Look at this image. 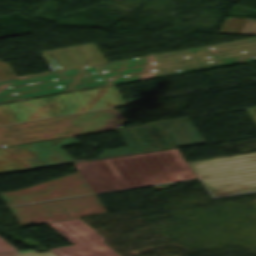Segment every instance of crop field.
I'll list each match as a JSON object with an SVG mask.
<instances>
[{
	"label": "crop field",
	"instance_id": "8a807250",
	"mask_svg": "<svg viewBox=\"0 0 256 256\" xmlns=\"http://www.w3.org/2000/svg\"><path fill=\"white\" fill-rule=\"evenodd\" d=\"M218 33L256 35V19L226 18ZM161 56H166L162 59ZM256 60V38L0 81V102ZM183 61V64L178 62Z\"/></svg>",
	"mask_w": 256,
	"mask_h": 256
},
{
	"label": "crop field",
	"instance_id": "ac0d7876",
	"mask_svg": "<svg viewBox=\"0 0 256 256\" xmlns=\"http://www.w3.org/2000/svg\"><path fill=\"white\" fill-rule=\"evenodd\" d=\"M75 166L94 193L196 177L177 149Z\"/></svg>",
	"mask_w": 256,
	"mask_h": 256
},
{
	"label": "crop field",
	"instance_id": "34b2d1b8",
	"mask_svg": "<svg viewBox=\"0 0 256 256\" xmlns=\"http://www.w3.org/2000/svg\"><path fill=\"white\" fill-rule=\"evenodd\" d=\"M124 104L115 85L0 105V125Z\"/></svg>",
	"mask_w": 256,
	"mask_h": 256
},
{
	"label": "crop field",
	"instance_id": "412701ff",
	"mask_svg": "<svg viewBox=\"0 0 256 256\" xmlns=\"http://www.w3.org/2000/svg\"><path fill=\"white\" fill-rule=\"evenodd\" d=\"M81 133L114 128L116 125L122 124L125 120L118 114V112L112 109L92 111L80 114H74L65 116ZM59 118L74 134L80 133L73 125H71L64 117ZM52 120L67 134L72 133L57 119ZM52 128H50L43 120L27 122L28 126L35 129L42 135L24 126V123L7 125L0 127V145L17 144L41 139H48L60 136H66L50 119L45 120ZM24 124V125H23ZM3 127L7 128L20 138L16 137ZM12 138L16 139L13 140Z\"/></svg>",
	"mask_w": 256,
	"mask_h": 256
},
{
	"label": "crop field",
	"instance_id": "f4fd0767",
	"mask_svg": "<svg viewBox=\"0 0 256 256\" xmlns=\"http://www.w3.org/2000/svg\"><path fill=\"white\" fill-rule=\"evenodd\" d=\"M189 165L214 196L256 190V153L192 162Z\"/></svg>",
	"mask_w": 256,
	"mask_h": 256
},
{
	"label": "crop field",
	"instance_id": "dd49c442",
	"mask_svg": "<svg viewBox=\"0 0 256 256\" xmlns=\"http://www.w3.org/2000/svg\"><path fill=\"white\" fill-rule=\"evenodd\" d=\"M128 147L104 150L98 157L202 143L189 118L118 130ZM164 139H160L158 135Z\"/></svg>",
	"mask_w": 256,
	"mask_h": 256
},
{
	"label": "crop field",
	"instance_id": "e52e79f7",
	"mask_svg": "<svg viewBox=\"0 0 256 256\" xmlns=\"http://www.w3.org/2000/svg\"><path fill=\"white\" fill-rule=\"evenodd\" d=\"M21 226L105 214L96 195L9 207Z\"/></svg>",
	"mask_w": 256,
	"mask_h": 256
},
{
	"label": "crop field",
	"instance_id": "d8731c3e",
	"mask_svg": "<svg viewBox=\"0 0 256 256\" xmlns=\"http://www.w3.org/2000/svg\"><path fill=\"white\" fill-rule=\"evenodd\" d=\"M80 144L73 137L53 140L48 142L24 145L31 153L45 162L47 165L74 162L60 147ZM15 158L24 164L22 165ZM44 166L21 146L0 149V172L27 169Z\"/></svg>",
	"mask_w": 256,
	"mask_h": 256
},
{
	"label": "crop field",
	"instance_id": "5a996713",
	"mask_svg": "<svg viewBox=\"0 0 256 256\" xmlns=\"http://www.w3.org/2000/svg\"><path fill=\"white\" fill-rule=\"evenodd\" d=\"M75 245L52 248L59 256H121L96 230L80 219L47 223Z\"/></svg>",
	"mask_w": 256,
	"mask_h": 256
},
{
	"label": "crop field",
	"instance_id": "3316defc",
	"mask_svg": "<svg viewBox=\"0 0 256 256\" xmlns=\"http://www.w3.org/2000/svg\"><path fill=\"white\" fill-rule=\"evenodd\" d=\"M79 172L18 191L0 193L6 205L91 194Z\"/></svg>",
	"mask_w": 256,
	"mask_h": 256
},
{
	"label": "crop field",
	"instance_id": "28ad6ade",
	"mask_svg": "<svg viewBox=\"0 0 256 256\" xmlns=\"http://www.w3.org/2000/svg\"><path fill=\"white\" fill-rule=\"evenodd\" d=\"M41 55L52 71L106 62L94 43L42 52Z\"/></svg>",
	"mask_w": 256,
	"mask_h": 256
},
{
	"label": "crop field",
	"instance_id": "d1516ede",
	"mask_svg": "<svg viewBox=\"0 0 256 256\" xmlns=\"http://www.w3.org/2000/svg\"><path fill=\"white\" fill-rule=\"evenodd\" d=\"M34 252L36 251L32 249L18 251L8 242L0 238V256L18 255V254H26V253H34Z\"/></svg>",
	"mask_w": 256,
	"mask_h": 256
},
{
	"label": "crop field",
	"instance_id": "22f410ed",
	"mask_svg": "<svg viewBox=\"0 0 256 256\" xmlns=\"http://www.w3.org/2000/svg\"><path fill=\"white\" fill-rule=\"evenodd\" d=\"M17 78L7 63L0 61V80Z\"/></svg>",
	"mask_w": 256,
	"mask_h": 256
},
{
	"label": "crop field",
	"instance_id": "cbeb9de0",
	"mask_svg": "<svg viewBox=\"0 0 256 256\" xmlns=\"http://www.w3.org/2000/svg\"><path fill=\"white\" fill-rule=\"evenodd\" d=\"M248 112L249 116L253 120L254 124L256 125V107L255 108H248L246 109Z\"/></svg>",
	"mask_w": 256,
	"mask_h": 256
},
{
	"label": "crop field",
	"instance_id": "5142ce71",
	"mask_svg": "<svg viewBox=\"0 0 256 256\" xmlns=\"http://www.w3.org/2000/svg\"><path fill=\"white\" fill-rule=\"evenodd\" d=\"M18 256H54V255L49 251H47L42 253H34V254H26V255H18Z\"/></svg>",
	"mask_w": 256,
	"mask_h": 256
}]
</instances>
